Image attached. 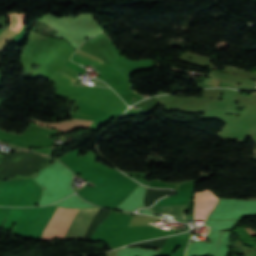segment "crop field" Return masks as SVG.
<instances>
[{"instance_id": "ac0d7876", "label": "crop field", "mask_w": 256, "mask_h": 256, "mask_svg": "<svg viewBox=\"0 0 256 256\" xmlns=\"http://www.w3.org/2000/svg\"><path fill=\"white\" fill-rule=\"evenodd\" d=\"M97 209H79L64 239H83Z\"/></svg>"}, {"instance_id": "34b2d1b8", "label": "crop field", "mask_w": 256, "mask_h": 256, "mask_svg": "<svg viewBox=\"0 0 256 256\" xmlns=\"http://www.w3.org/2000/svg\"><path fill=\"white\" fill-rule=\"evenodd\" d=\"M194 197L193 201L196 204L194 219H206L219 200L209 190L195 192Z\"/></svg>"}, {"instance_id": "412701ff", "label": "crop field", "mask_w": 256, "mask_h": 256, "mask_svg": "<svg viewBox=\"0 0 256 256\" xmlns=\"http://www.w3.org/2000/svg\"><path fill=\"white\" fill-rule=\"evenodd\" d=\"M26 16H27L26 14H17V13L9 14L10 24L7 27L18 34L19 31L24 26ZM12 31L5 29L0 34V52H2L5 49V47L10 43V41L13 39V37L17 35Z\"/></svg>"}, {"instance_id": "8a807250", "label": "crop field", "mask_w": 256, "mask_h": 256, "mask_svg": "<svg viewBox=\"0 0 256 256\" xmlns=\"http://www.w3.org/2000/svg\"><path fill=\"white\" fill-rule=\"evenodd\" d=\"M77 211L78 209H64L57 207L43 232L41 240H52L53 237L63 239L64 234Z\"/></svg>"}]
</instances>
